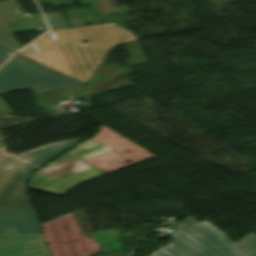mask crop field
Instances as JSON below:
<instances>
[{
  "label": "crop field",
  "mask_w": 256,
  "mask_h": 256,
  "mask_svg": "<svg viewBox=\"0 0 256 256\" xmlns=\"http://www.w3.org/2000/svg\"><path fill=\"white\" fill-rule=\"evenodd\" d=\"M108 149L87 140L35 173L29 188L62 196L83 182L105 175L80 160Z\"/></svg>",
  "instance_id": "8a807250"
},
{
  "label": "crop field",
  "mask_w": 256,
  "mask_h": 256,
  "mask_svg": "<svg viewBox=\"0 0 256 256\" xmlns=\"http://www.w3.org/2000/svg\"><path fill=\"white\" fill-rule=\"evenodd\" d=\"M186 218L169 237L170 245L150 256H249L208 222Z\"/></svg>",
  "instance_id": "ac0d7876"
},
{
  "label": "crop field",
  "mask_w": 256,
  "mask_h": 256,
  "mask_svg": "<svg viewBox=\"0 0 256 256\" xmlns=\"http://www.w3.org/2000/svg\"><path fill=\"white\" fill-rule=\"evenodd\" d=\"M77 83L80 82L16 54L0 68V95L26 88L38 93Z\"/></svg>",
  "instance_id": "34b2d1b8"
},
{
  "label": "crop field",
  "mask_w": 256,
  "mask_h": 256,
  "mask_svg": "<svg viewBox=\"0 0 256 256\" xmlns=\"http://www.w3.org/2000/svg\"><path fill=\"white\" fill-rule=\"evenodd\" d=\"M84 138L62 141L46 146H42L28 152L19 154L20 157H12L8 164L5 166V170L18 172L29 175L38 167L51 161L58 155L62 154L76 143Z\"/></svg>",
  "instance_id": "412701ff"
},
{
  "label": "crop field",
  "mask_w": 256,
  "mask_h": 256,
  "mask_svg": "<svg viewBox=\"0 0 256 256\" xmlns=\"http://www.w3.org/2000/svg\"><path fill=\"white\" fill-rule=\"evenodd\" d=\"M10 158L0 159V208H32L24 188L28 176L2 170Z\"/></svg>",
  "instance_id": "f4fd0767"
},
{
  "label": "crop field",
  "mask_w": 256,
  "mask_h": 256,
  "mask_svg": "<svg viewBox=\"0 0 256 256\" xmlns=\"http://www.w3.org/2000/svg\"><path fill=\"white\" fill-rule=\"evenodd\" d=\"M0 27L4 33L47 30L39 14L24 13L17 1L0 2Z\"/></svg>",
  "instance_id": "dd49c442"
},
{
  "label": "crop field",
  "mask_w": 256,
  "mask_h": 256,
  "mask_svg": "<svg viewBox=\"0 0 256 256\" xmlns=\"http://www.w3.org/2000/svg\"><path fill=\"white\" fill-rule=\"evenodd\" d=\"M39 232L32 209H0V237Z\"/></svg>",
  "instance_id": "e52e79f7"
},
{
  "label": "crop field",
  "mask_w": 256,
  "mask_h": 256,
  "mask_svg": "<svg viewBox=\"0 0 256 256\" xmlns=\"http://www.w3.org/2000/svg\"><path fill=\"white\" fill-rule=\"evenodd\" d=\"M0 256H47L40 233L0 239Z\"/></svg>",
  "instance_id": "d8731c3e"
},
{
  "label": "crop field",
  "mask_w": 256,
  "mask_h": 256,
  "mask_svg": "<svg viewBox=\"0 0 256 256\" xmlns=\"http://www.w3.org/2000/svg\"><path fill=\"white\" fill-rule=\"evenodd\" d=\"M51 30L68 28L61 13L44 14Z\"/></svg>",
  "instance_id": "5a996713"
},
{
  "label": "crop field",
  "mask_w": 256,
  "mask_h": 256,
  "mask_svg": "<svg viewBox=\"0 0 256 256\" xmlns=\"http://www.w3.org/2000/svg\"><path fill=\"white\" fill-rule=\"evenodd\" d=\"M0 44L16 52L20 50L23 45H19L12 33L4 34L0 28Z\"/></svg>",
  "instance_id": "3316defc"
},
{
  "label": "crop field",
  "mask_w": 256,
  "mask_h": 256,
  "mask_svg": "<svg viewBox=\"0 0 256 256\" xmlns=\"http://www.w3.org/2000/svg\"><path fill=\"white\" fill-rule=\"evenodd\" d=\"M235 244L241 246L250 255L256 250V235L251 233Z\"/></svg>",
  "instance_id": "28ad6ade"
},
{
  "label": "crop field",
  "mask_w": 256,
  "mask_h": 256,
  "mask_svg": "<svg viewBox=\"0 0 256 256\" xmlns=\"http://www.w3.org/2000/svg\"><path fill=\"white\" fill-rule=\"evenodd\" d=\"M42 97L46 105L59 102L54 90L42 93Z\"/></svg>",
  "instance_id": "d1516ede"
},
{
  "label": "crop field",
  "mask_w": 256,
  "mask_h": 256,
  "mask_svg": "<svg viewBox=\"0 0 256 256\" xmlns=\"http://www.w3.org/2000/svg\"><path fill=\"white\" fill-rule=\"evenodd\" d=\"M13 54V52L3 48L0 46V65L6 61L11 55Z\"/></svg>",
  "instance_id": "22f410ed"
},
{
  "label": "crop field",
  "mask_w": 256,
  "mask_h": 256,
  "mask_svg": "<svg viewBox=\"0 0 256 256\" xmlns=\"http://www.w3.org/2000/svg\"><path fill=\"white\" fill-rule=\"evenodd\" d=\"M27 47H28V46H27ZM41 50H43V49H41V48H35V47H28V48L22 50V51L19 52V53L25 56V55L34 54V53L39 52V51H41Z\"/></svg>",
  "instance_id": "cbeb9de0"
},
{
  "label": "crop field",
  "mask_w": 256,
  "mask_h": 256,
  "mask_svg": "<svg viewBox=\"0 0 256 256\" xmlns=\"http://www.w3.org/2000/svg\"><path fill=\"white\" fill-rule=\"evenodd\" d=\"M100 256H118V254H117V252H114V253L100 255Z\"/></svg>",
  "instance_id": "5142ce71"
},
{
  "label": "crop field",
  "mask_w": 256,
  "mask_h": 256,
  "mask_svg": "<svg viewBox=\"0 0 256 256\" xmlns=\"http://www.w3.org/2000/svg\"><path fill=\"white\" fill-rule=\"evenodd\" d=\"M250 256H256V251L254 253H252Z\"/></svg>",
  "instance_id": "d9b57169"
}]
</instances>
